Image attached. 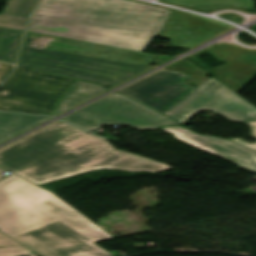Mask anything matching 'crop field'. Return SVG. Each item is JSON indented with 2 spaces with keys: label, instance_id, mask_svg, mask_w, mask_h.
Wrapping results in <instances>:
<instances>
[{
  "label": "crop field",
  "instance_id": "crop-field-1",
  "mask_svg": "<svg viewBox=\"0 0 256 256\" xmlns=\"http://www.w3.org/2000/svg\"><path fill=\"white\" fill-rule=\"evenodd\" d=\"M0 231L41 256H114L94 243L113 237L15 175L0 182Z\"/></svg>",
  "mask_w": 256,
  "mask_h": 256
},
{
  "label": "crop field",
  "instance_id": "crop-field-16",
  "mask_svg": "<svg viewBox=\"0 0 256 256\" xmlns=\"http://www.w3.org/2000/svg\"><path fill=\"white\" fill-rule=\"evenodd\" d=\"M12 68L13 66L11 65L0 63V84L6 78V76L11 72Z\"/></svg>",
  "mask_w": 256,
  "mask_h": 256
},
{
  "label": "crop field",
  "instance_id": "crop-field-17",
  "mask_svg": "<svg viewBox=\"0 0 256 256\" xmlns=\"http://www.w3.org/2000/svg\"><path fill=\"white\" fill-rule=\"evenodd\" d=\"M4 172H6V171H4V170L0 169V179H2V178H4V177H5L4 175H2Z\"/></svg>",
  "mask_w": 256,
  "mask_h": 256
},
{
  "label": "crop field",
  "instance_id": "crop-field-13",
  "mask_svg": "<svg viewBox=\"0 0 256 256\" xmlns=\"http://www.w3.org/2000/svg\"><path fill=\"white\" fill-rule=\"evenodd\" d=\"M32 252L25 247L0 248V256H26Z\"/></svg>",
  "mask_w": 256,
  "mask_h": 256
},
{
  "label": "crop field",
  "instance_id": "crop-field-12",
  "mask_svg": "<svg viewBox=\"0 0 256 256\" xmlns=\"http://www.w3.org/2000/svg\"><path fill=\"white\" fill-rule=\"evenodd\" d=\"M23 33L0 27V61L14 64Z\"/></svg>",
  "mask_w": 256,
  "mask_h": 256
},
{
  "label": "crop field",
  "instance_id": "crop-field-9",
  "mask_svg": "<svg viewBox=\"0 0 256 256\" xmlns=\"http://www.w3.org/2000/svg\"><path fill=\"white\" fill-rule=\"evenodd\" d=\"M49 118L51 117L0 112V143Z\"/></svg>",
  "mask_w": 256,
  "mask_h": 256
},
{
  "label": "crop field",
  "instance_id": "crop-field-3",
  "mask_svg": "<svg viewBox=\"0 0 256 256\" xmlns=\"http://www.w3.org/2000/svg\"><path fill=\"white\" fill-rule=\"evenodd\" d=\"M170 12L125 0H41L27 31L143 52Z\"/></svg>",
  "mask_w": 256,
  "mask_h": 256
},
{
  "label": "crop field",
  "instance_id": "crop-field-2",
  "mask_svg": "<svg viewBox=\"0 0 256 256\" xmlns=\"http://www.w3.org/2000/svg\"><path fill=\"white\" fill-rule=\"evenodd\" d=\"M0 166L36 184L90 170L157 173L171 167L114 149L105 139L58 121L0 150Z\"/></svg>",
  "mask_w": 256,
  "mask_h": 256
},
{
  "label": "crop field",
  "instance_id": "crop-field-11",
  "mask_svg": "<svg viewBox=\"0 0 256 256\" xmlns=\"http://www.w3.org/2000/svg\"><path fill=\"white\" fill-rule=\"evenodd\" d=\"M109 89L93 84H88L84 82L77 81L64 95V97L59 102L54 116L80 104L83 103Z\"/></svg>",
  "mask_w": 256,
  "mask_h": 256
},
{
  "label": "crop field",
  "instance_id": "crop-field-7",
  "mask_svg": "<svg viewBox=\"0 0 256 256\" xmlns=\"http://www.w3.org/2000/svg\"><path fill=\"white\" fill-rule=\"evenodd\" d=\"M190 78L162 69L118 92L163 114L194 90L184 84Z\"/></svg>",
  "mask_w": 256,
  "mask_h": 256
},
{
  "label": "crop field",
  "instance_id": "crop-field-5",
  "mask_svg": "<svg viewBox=\"0 0 256 256\" xmlns=\"http://www.w3.org/2000/svg\"><path fill=\"white\" fill-rule=\"evenodd\" d=\"M52 39V36L26 32L16 66L101 86H117L151 69L45 50Z\"/></svg>",
  "mask_w": 256,
  "mask_h": 256
},
{
  "label": "crop field",
  "instance_id": "crop-field-15",
  "mask_svg": "<svg viewBox=\"0 0 256 256\" xmlns=\"http://www.w3.org/2000/svg\"><path fill=\"white\" fill-rule=\"evenodd\" d=\"M15 246H22V245H20L19 243L15 242L14 240L0 233V247H15Z\"/></svg>",
  "mask_w": 256,
  "mask_h": 256
},
{
  "label": "crop field",
  "instance_id": "crop-field-10",
  "mask_svg": "<svg viewBox=\"0 0 256 256\" xmlns=\"http://www.w3.org/2000/svg\"><path fill=\"white\" fill-rule=\"evenodd\" d=\"M37 0H9L0 15V26L17 30H25L27 17Z\"/></svg>",
  "mask_w": 256,
  "mask_h": 256
},
{
  "label": "crop field",
  "instance_id": "crop-field-8",
  "mask_svg": "<svg viewBox=\"0 0 256 256\" xmlns=\"http://www.w3.org/2000/svg\"><path fill=\"white\" fill-rule=\"evenodd\" d=\"M179 140L207 151L225 161L256 173V152L235 142L197 135L180 126L162 128Z\"/></svg>",
  "mask_w": 256,
  "mask_h": 256
},
{
  "label": "crop field",
  "instance_id": "crop-field-6",
  "mask_svg": "<svg viewBox=\"0 0 256 256\" xmlns=\"http://www.w3.org/2000/svg\"><path fill=\"white\" fill-rule=\"evenodd\" d=\"M75 80L16 67L1 87L0 109L51 114ZM4 90L6 95L1 94Z\"/></svg>",
  "mask_w": 256,
  "mask_h": 256
},
{
  "label": "crop field",
  "instance_id": "crop-field-4",
  "mask_svg": "<svg viewBox=\"0 0 256 256\" xmlns=\"http://www.w3.org/2000/svg\"><path fill=\"white\" fill-rule=\"evenodd\" d=\"M200 110H211L232 122L256 121V107L213 77L164 115L184 123ZM62 120L88 132L107 124H119L137 129L179 124L117 92Z\"/></svg>",
  "mask_w": 256,
  "mask_h": 256
},
{
  "label": "crop field",
  "instance_id": "crop-field-14",
  "mask_svg": "<svg viewBox=\"0 0 256 256\" xmlns=\"http://www.w3.org/2000/svg\"><path fill=\"white\" fill-rule=\"evenodd\" d=\"M251 126V137L256 138V122L245 123ZM256 151V143L250 144L242 139H229Z\"/></svg>",
  "mask_w": 256,
  "mask_h": 256
}]
</instances>
